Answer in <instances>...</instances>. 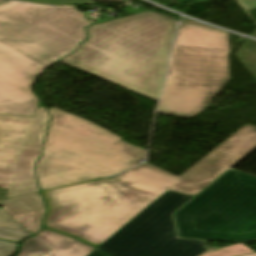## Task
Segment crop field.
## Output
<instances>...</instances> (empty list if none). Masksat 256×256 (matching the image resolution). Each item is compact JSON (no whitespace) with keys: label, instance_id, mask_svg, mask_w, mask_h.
<instances>
[{"label":"crop field","instance_id":"24","mask_svg":"<svg viewBox=\"0 0 256 256\" xmlns=\"http://www.w3.org/2000/svg\"><path fill=\"white\" fill-rule=\"evenodd\" d=\"M242 256H256V253H254V254H248V255H242Z\"/></svg>","mask_w":256,"mask_h":256},{"label":"crop field","instance_id":"8","mask_svg":"<svg viewBox=\"0 0 256 256\" xmlns=\"http://www.w3.org/2000/svg\"><path fill=\"white\" fill-rule=\"evenodd\" d=\"M190 197L169 192L157 198L98 249L111 256H198L205 242L178 239L171 214Z\"/></svg>","mask_w":256,"mask_h":256},{"label":"crop field","instance_id":"12","mask_svg":"<svg viewBox=\"0 0 256 256\" xmlns=\"http://www.w3.org/2000/svg\"><path fill=\"white\" fill-rule=\"evenodd\" d=\"M34 236L51 250L44 256H86L94 250L73 238L45 229Z\"/></svg>","mask_w":256,"mask_h":256},{"label":"crop field","instance_id":"9","mask_svg":"<svg viewBox=\"0 0 256 256\" xmlns=\"http://www.w3.org/2000/svg\"><path fill=\"white\" fill-rule=\"evenodd\" d=\"M49 118L40 104L33 118L0 115V167L14 168L22 146L41 149Z\"/></svg>","mask_w":256,"mask_h":256},{"label":"crop field","instance_id":"22","mask_svg":"<svg viewBox=\"0 0 256 256\" xmlns=\"http://www.w3.org/2000/svg\"><path fill=\"white\" fill-rule=\"evenodd\" d=\"M101 1H117V2H126L128 0H101ZM127 3V2H126Z\"/></svg>","mask_w":256,"mask_h":256},{"label":"crop field","instance_id":"14","mask_svg":"<svg viewBox=\"0 0 256 256\" xmlns=\"http://www.w3.org/2000/svg\"><path fill=\"white\" fill-rule=\"evenodd\" d=\"M31 234L6 212L0 209V239L19 242Z\"/></svg>","mask_w":256,"mask_h":256},{"label":"crop field","instance_id":"13","mask_svg":"<svg viewBox=\"0 0 256 256\" xmlns=\"http://www.w3.org/2000/svg\"><path fill=\"white\" fill-rule=\"evenodd\" d=\"M40 151L22 148L15 169L0 168V187L9 183L35 179L32 173Z\"/></svg>","mask_w":256,"mask_h":256},{"label":"crop field","instance_id":"1","mask_svg":"<svg viewBox=\"0 0 256 256\" xmlns=\"http://www.w3.org/2000/svg\"><path fill=\"white\" fill-rule=\"evenodd\" d=\"M89 24L73 6L15 0L0 5V114L33 116L35 77L77 49Z\"/></svg>","mask_w":256,"mask_h":256},{"label":"crop field","instance_id":"20","mask_svg":"<svg viewBox=\"0 0 256 256\" xmlns=\"http://www.w3.org/2000/svg\"><path fill=\"white\" fill-rule=\"evenodd\" d=\"M244 11L256 8V0H236Z\"/></svg>","mask_w":256,"mask_h":256},{"label":"crop field","instance_id":"28","mask_svg":"<svg viewBox=\"0 0 256 256\" xmlns=\"http://www.w3.org/2000/svg\"><path fill=\"white\" fill-rule=\"evenodd\" d=\"M185 19L183 18V21H184Z\"/></svg>","mask_w":256,"mask_h":256},{"label":"crop field","instance_id":"10","mask_svg":"<svg viewBox=\"0 0 256 256\" xmlns=\"http://www.w3.org/2000/svg\"><path fill=\"white\" fill-rule=\"evenodd\" d=\"M35 172L41 190L100 178L44 152L36 164Z\"/></svg>","mask_w":256,"mask_h":256},{"label":"crop field","instance_id":"11","mask_svg":"<svg viewBox=\"0 0 256 256\" xmlns=\"http://www.w3.org/2000/svg\"><path fill=\"white\" fill-rule=\"evenodd\" d=\"M2 209L32 235L40 231L42 217L46 211L39 192L6 199Z\"/></svg>","mask_w":256,"mask_h":256},{"label":"crop field","instance_id":"4","mask_svg":"<svg viewBox=\"0 0 256 256\" xmlns=\"http://www.w3.org/2000/svg\"><path fill=\"white\" fill-rule=\"evenodd\" d=\"M41 193L48 208L43 227L96 248L155 200L103 178Z\"/></svg>","mask_w":256,"mask_h":256},{"label":"crop field","instance_id":"25","mask_svg":"<svg viewBox=\"0 0 256 256\" xmlns=\"http://www.w3.org/2000/svg\"><path fill=\"white\" fill-rule=\"evenodd\" d=\"M169 192H171V191H169ZM173 193H176V192H173ZM176 194L186 195V194H181V193H176ZM186 196H191V195H186ZM191 197H193V196H191Z\"/></svg>","mask_w":256,"mask_h":256},{"label":"crop field","instance_id":"16","mask_svg":"<svg viewBox=\"0 0 256 256\" xmlns=\"http://www.w3.org/2000/svg\"><path fill=\"white\" fill-rule=\"evenodd\" d=\"M36 191H39V190L35 180L14 183L9 185L4 199L23 195V194H28Z\"/></svg>","mask_w":256,"mask_h":256},{"label":"crop field","instance_id":"2","mask_svg":"<svg viewBox=\"0 0 256 256\" xmlns=\"http://www.w3.org/2000/svg\"><path fill=\"white\" fill-rule=\"evenodd\" d=\"M176 21L152 11L87 27L60 61L157 102Z\"/></svg>","mask_w":256,"mask_h":256},{"label":"crop field","instance_id":"6","mask_svg":"<svg viewBox=\"0 0 256 256\" xmlns=\"http://www.w3.org/2000/svg\"><path fill=\"white\" fill-rule=\"evenodd\" d=\"M49 111L52 117L44 151L103 176L117 174L144 159V151L121 141L94 123L57 108Z\"/></svg>","mask_w":256,"mask_h":256},{"label":"crop field","instance_id":"26","mask_svg":"<svg viewBox=\"0 0 256 256\" xmlns=\"http://www.w3.org/2000/svg\"><path fill=\"white\" fill-rule=\"evenodd\" d=\"M183 1H188V0H177L178 3H179V2H183Z\"/></svg>","mask_w":256,"mask_h":256},{"label":"crop field","instance_id":"27","mask_svg":"<svg viewBox=\"0 0 256 256\" xmlns=\"http://www.w3.org/2000/svg\"><path fill=\"white\" fill-rule=\"evenodd\" d=\"M4 1H6V0H0V3H1V2H4Z\"/></svg>","mask_w":256,"mask_h":256},{"label":"crop field","instance_id":"17","mask_svg":"<svg viewBox=\"0 0 256 256\" xmlns=\"http://www.w3.org/2000/svg\"><path fill=\"white\" fill-rule=\"evenodd\" d=\"M254 251L245 246L244 244H236L226 248L219 249L214 252L207 253L203 256H235L247 253H253Z\"/></svg>","mask_w":256,"mask_h":256},{"label":"crop field","instance_id":"5","mask_svg":"<svg viewBox=\"0 0 256 256\" xmlns=\"http://www.w3.org/2000/svg\"><path fill=\"white\" fill-rule=\"evenodd\" d=\"M174 217L182 238L256 240V177L231 169Z\"/></svg>","mask_w":256,"mask_h":256},{"label":"crop field","instance_id":"23","mask_svg":"<svg viewBox=\"0 0 256 256\" xmlns=\"http://www.w3.org/2000/svg\"><path fill=\"white\" fill-rule=\"evenodd\" d=\"M107 180H109V179H107ZM109 181H112L113 182V179L112 180H109ZM116 184V183H115ZM117 186V185H116ZM120 187V186H119ZM121 188V187H120ZM124 190V189H123ZM167 190H165L164 192H166ZM164 192H162L161 194H163ZM160 194V195H161ZM160 195H158V196H156V197H154V198H157V197H159ZM151 197V196H150Z\"/></svg>","mask_w":256,"mask_h":256},{"label":"crop field","instance_id":"19","mask_svg":"<svg viewBox=\"0 0 256 256\" xmlns=\"http://www.w3.org/2000/svg\"><path fill=\"white\" fill-rule=\"evenodd\" d=\"M30 1H38L50 4H90L96 5L93 1H84V0H30Z\"/></svg>","mask_w":256,"mask_h":256},{"label":"crop field","instance_id":"3","mask_svg":"<svg viewBox=\"0 0 256 256\" xmlns=\"http://www.w3.org/2000/svg\"><path fill=\"white\" fill-rule=\"evenodd\" d=\"M226 32L185 20L178 24L159 114L189 118L229 79Z\"/></svg>","mask_w":256,"mask_h":256},{"label":"crop field","instance_id":"7","mask_svg":"<svg viewBox=\"0 0 256 256\" xmlns=\"http://www.w3.org/2000/svg\"><path fill=\"white\" fill-rule=\"evenodd\" d=\"M255 147L256 126L246 124L179 177L144 163L115 176L114 182L151 196L165 189L195 195Z\"/></svg>","mask_w":256,"mask_h":256},{"label":"crop field","instance_id":"15","mask_svg":"<svg viewBox=\"0 0 256 256\" xmlns=\"http://www.w3.org/2000/svg\"><path fill=\"white\" fill-rule=\"evenodd\" d=\"M50 250L34 236L23 241L21 250L16 256H42Z\"/></svg>","mask_w":256,"mask_h":256},{"label":"crop field","instance_id":"21","mask_svg":"<svg viewBox=\"0 0 256 256\" xmlns=\"http://www.w3.org/2000/svg\"><path fill=\"white\" fill-rule=\"evenodd\" d=\"M88 256H108V255L105 252L101 251V250H96L95 249Z\"/></svg>","mask_w":256,"mask_h":256},{"label":"crop field","instance_id":"18","mask_svg":"<svg viewBox=\"0 0 256 256\" xmlns=\"http://www.w3.org/2000/svg\"><path fill=\"white\" fill-rule=\"evenodd\" d=\"M16 243L0 240V256H10L17 249Z\"/></svg>","mask_w":256,"mask_h":256}]
</instances>
